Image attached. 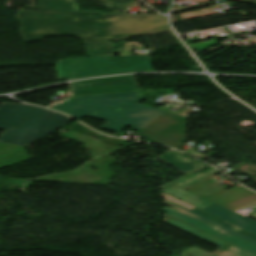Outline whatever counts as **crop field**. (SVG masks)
<instances>
[{
  "instance_id": "1",
  "label": "crop field",
  "mask_w": 256,
  "mask_h": 256,
  "mask_svg": "<svg viewBox=\"0 0 256 256\" xmlns=\"http://www.w3.org/2000/svg\"><path fill=\"white\" fill-rule=\"evenodd\" d=\"M41 11L21 10L17 17L26 42L68 34L86 41L89 56H109L111 41L170 30L161 15L79 12L74 0H38Z\"/></svg>"
},
{
  "instance_id": "2",
  "label": "crop field",
  "mask_w": 256,
  "mask_h": 256,
  "mask_svg": "<svg viewBox=\"0 0 256 256\" xmlns=\"http://www.w3.org/2000/svg\"><path fill=\"white\" fill-rule=\"evenodd\" d=\"M143 99L142 91L87 95L74 97L52 109L77 119L89 116L107 120L102 129L117 133L128 125L151 142L179 146L185 138L186 117L137 104Z\"/></svg>"
},
{
  "instance_id": "3",
  "label": "crop field",
  "mask_w": 256,
  "mask_h": 256,
  "mask_svg": "<svg viewBox=\"0 0 256 256\" xmlns=\"http://www.w3.org/2000/svg\"><path fill=\"white\" fill-rule=\"evenodd\" d=\"M70 120L32 105L0 103V142L28 147Z\"/></svg>"
},
{
  "instance_id": "4",
  "label": "crop field",
  "mask_w": 256,
  "mask_h": 256,
  "mask_svg": "<svg viewBox=\"0 0 256 256\" xmlns=\"http://www.w3.org/2000/svg\"><path fill=\"white\" fill-rule=\"evenodd\" d=\"M56 65L59 79L152 70L150 55L71 58Z\"/></svg>"
},
{
  "instance_id": "5",
  "label": "crop field",
  "mask_w": 256,
  "mask_h": 256,
  "mask_svg": "<svg viewBox=\"0 0 256 256\" xmlns=\"http://www.w3.org/2000/svg\"><path fill=\"white\" fill-rule=\"evenodd\" d=\"M162 191L256 235V221L243 217L235 212H231L175 185L165 188Z\"/></svg>"
},
{
  "instance_id": "6",
  "label": "crop field",
  "mask_w": 256,
  "mask_h": 256,
  "mask_svg": "<svg viewBox=\"0 0 256 256\" xmlns=\"http://www.w3.org/2000/svg\"><path fill=\"white\" fill-rule=\"evenodd\" d=\"M72 97L78 95L139 90L131 75L74 82Z\"/></svg>"
},
{
  "instance_id": "7",
  "label": "crop field",
  "mask_w": 256,
  "mask_h": 256,
  "mask_svg": "<svg viewBox=\"0 0 256 256\" xmlns=\"http://www.w3.org/2000/svg\"><path fill=\"white\" fill-rule=\"evenodd\" d=\"M163 222L174 227L180 228L186 232H189L205 241L213 243L219 247L220 249L216 250L213 254L218 256H256V254L251 253L241 247L234 246L228 242H225L219 238H216L208 233H205L195 227H191L177 219H174L168 215L163 217ZM224 248V249H222Z\"/></svg>"
},
{
  "instance_id": "8",
  "label": "crop field",
  "mask_w": 256,
  "mask_h": 256,
  "mask_svg": "<svg viewBox=\"0 0 256 256\" xmlns=\"http://www.w3.org/2000/svg\"><path fill=\"white\" fill-rule=\"evenodd\" d=\"M162 211L176 217L177 219L187 223V224H190V225H194L195 227L203 230V231H206L216 237H219L221 239H224L228 242H231L233 244H236L238 246H241L251 252H254L256 253V245L252 244V243H249L243 239H240L232 234H229L223 230H220L212 225H209L203 221H200L192 216H189L183 212H180L172 207H168V208H164L162 209Z\"/></svg>"
},
{
  "instance_id": "9",
  "label": "crop field",
  "mask_w": 256,
  "mask_h": 256,
  "mask_svg": "<svg viewBox=\"0 0 256 256\" xmlns=\"http://www.w3.org/2000/svg\"><path fill=\"white\" fill-rule=\"evenodd\" d=\"M157 158H159L164 163L176 168L184 174H187L191 171L205 166L201 162L193 158L187 157L173 149Z\"/></svg>"
},
{
  "instance_id": "10",
  "label": "crop field",
  "mask_w": 256,
  "mask_h": 256,
  "mask_svg": "<svg viewBox=\"0 0 256 256\" xmlns=\"http://www.w3.org/2000/svg\"><path fill=\"white\" fill-rule=\"evenodd\" d=\"M160 196L163 197V198H166V199H168V200H170V201H172V202H174L176 204H179V205H181V206H183V207H185L187 209H190V210H192V211H194V212H196V213H198L200 215H203V216H205V217H207V218H209V219H211L213 221H216V222H218V223H220L222 225H225V226H227V227H229V228H231L233 230H236V231H238V232H240L242 234H245V235H247V236H249V237H251L253 239H256L255 235H252V234H250V233H248V232H246V231H244V230H242V229H240V228H238V227H236L234 225H231V224H229V223H227V222H225V221H223V220H221V219H219V218H217V217H215V216H213L211 214H208V213H205V212H203L201 210H198V209H196V208H194V207H192V206H190V205H188V204H186V203H184L182 201H179V200H177V199H175V198H173V197H171V196H169V195H167V194H165L163 192L161 193Z\"/></svg>"
},
{
  "instance_id": "11",
  "label": "crop field",
  "mask_w": 256,
  "mask_h": 256,
  "mask_svg": "<svg viewBox=\"0 0 256 256\" xmlns=\"http://www.w3.org/2000/svg\"><path fill=\"white\" fill-rule=\"evenodd\" d=\"M163 201L165 202V204H167L169 206H172V207H174V208H176V209H178L180 211H183V212H185V213H187L189 215H192V216H194V217H196V218H198L200 220H203V221H205V222H207L209 224H212V225H214V226H216V227H218L220 229H223V230H225V231H227L229 233H232V234H234V235H236V236H238L240 238H243V239H245V240H247L249 242H252V243L256 244V240H253V239H251V238H249V237H247L245 235H242V234H240V233H238L236 231H233V230H231V229H229V228H227L225 226H222V225H220V224H218L216 222H213V221H211V220H209V219H207V218H205L203 216H200V215H198V214H196V213H194V212H192L190 210H187V209H185V208H183V207H181L179 205H176V204H174V203H172V202H170V201H168L166 199H164Z\"/></svg>"
},
{
  "instance_id": "12",
  "label": "crop field",
  "mask_w": 256,
  "mask_h": 256,
  "mask_svg": "<svg viewBox=\"0 0 256 256\" xmlns=\"http://www.w3.org/2000/svg\"><path fill=\"white\" fill-rule=\"evenodd\" d=\"M254 203H256V195L246 198V199H243V200H240L238 202L223 206V207L230 209L232 211H236L238 209L244 208V207L249 206Z\"/></svg>"
},
{
  "instance_id": "13",
  "label": "crop field",
  "mask_w": 256,
  "mask_h": 256,
  "mask_svg": "<svg viewBox=\"0 0 256 256\" xmlns=\"http://www.w3.org/2000/svg\"><path fill=\"white\" fill-rule=\"evenodd\" d=\"M179 256H214L200 248L193 247L183 253H181Z\"/></svg>"
},
{
  "instance_id": "14",
  "label": "crop field",
  "mask_w": 256,
  "mask_h": 256,
  "mask_svg": "<svg viewBox=\"0 0 256 256\" xmlns=\"http://www.w3.org/2000/svg\"><path fill=\"white\" fill-rule=\"evenodd\" d=\"M207 166H209V165H207ZM207 166H205V167H207ZM205 167H203V168H205ZM209 167H210V166H209ZM203 168H201V169H203ZM207 168H208V167H207ZM201 169H198V170H196V171H194V172H191V173H189V174H187V175H185V176H183V177H181V178H179V179H177V180H175V181H173V182H171V183H169V184H166V185H164V186H162V187H160V188L163 189V188H165V187H167V186H170V185H172V184H174V183H176V182H178V181H180V180L186 178L187 176H189V175H191V174H193V173H195V172H197V171H199V170H201Z\"/></svg>"
},
{
  "instance_id": "15",
  "label": "crop field",
  "mask_w": 256,
  "mask_h": 256,
  "mask_svg": "<svg viewBox=\"0 0 256 256\" xmlns=\"http://www.w3.org/2000/svg\"><path fill=\"white\" fill-rule=\"evenodd\" d=\"M238 1H243V2H248V3L252 2V1H249V0H238Z\"/></svg>"
},
{
  "instance_id": "16",
  "label": "crop field",
  "mask_w": 256,
  "mask_h": 256,
  "mask_svg": "<svg viewBox=\"0 0 256 256\" xmlns=\"http://www.w3.org/2000/svg\"><path fill=\"white\" fill-rule=\"evenodd\" d=\"M252 3H253V4H256V1H253Z\"/></svg>"
}]
</instances>
